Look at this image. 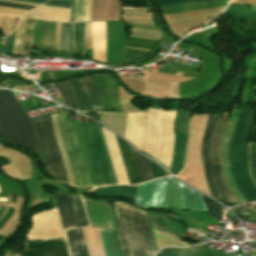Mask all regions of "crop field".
Masks as SVG:
<instances>
[{"label":"crop field","mask_w":256,"mask_h":256,"mask_svg":"<svg viewBox=\"0 0 256 256\" xmlns=\"http://www.w3.org/2000/svg\"><path fill=\"white\" fill-rule=\"evenodd\" d=\"M115 211L124 256H153L156 249L146 211L122 202L115 203Z\"/></svg>","instance_id":"obj_1"},{"label":"crop field","mask_w":256,"mask_h":256,"mask_svg":"<svg viewBox=\"0 0 256 256\" xmlns=\"http://www.w3.org/2000/svg\"><path fill=\"white\" fill-rule=\"evenodd\" d=\"M256 117V110L244 106L229 147L231 175L247 202L256 200V185L248 171L247 140Z\"/></svg>","instance_id":"obj_2"},{"label":"crop field","mask_w":256,"mask_h":256,"mask_svg":"<svg viewBox=\"0 0 256 256\" xmlns=\"http://www.w3.org/2000/svg\"><path fill=\"white\" fill-rule=\"evenodd\" d=\"M0 139L23 146L42 157L28 116L7 90H0Z\"/></svg>","instance_id":"obj_3"},{"label":"crop field","mask_w":256,"mask_h":256,"mask_svg":"<svg viewBox=\"0 0 256 256\" xmlns=\"http://www.w3.org/2000/svg\"><path fill=\"white\" fill-rule=\"evenodd\" d=\"M32 120L44 157V170L51 176L68 182L50 115Z\"/></svg>","instance_id":"obj_4"},{"label":"crop field","mask_w":256,"mask_h":256,"mask_svg":"<svg viewBox=\"0 0 256 256\" xmlns=\"http://www.w3.org/2000/svg\"><path fill=\"white\" fill-rule=\"evenodd\" d=\"M98 129H99V126H98ZM98 129H97L96 123H94L93 121H90L89 126H82L84 139H85L88 153L90 156V160H91V164H92L95 178L97 181V185L99 186V185L114 184L115 179L113 182L114 176L112 178V175H113V173L111 175L112 169L110 171L111 166L109 168V165H110V163L108 165L109 159L107 162L108 156L106 158V155H107V153L105 155L106 149L104 146V149H105V152H104V149H103L104 143L102 145L103 139L100 133V136L102 139V142H101V139L99 136L100 129H99V132H98Z\"/></svg>","instance_id":"obj_5"},{"label":"crop field","mask_w":256,"mask_h":256,"mask_svg":"<svg viewBox=\"0 0 256 256\" xmlns=\"http://www.w3.org/2000/svg\"><path fill=\"white\" fill-rule=\"evenodd\" d=\"M68 154L78 186L90 185L89 176L74 131L75 121H67L66 114L59 115Z\"/></svg>","instance_id":"obj_6"},{"label":"crop field","mask_w":256,"mask_h":256,"mask_svg":"<svg viewBox=\"0 0 256 256\" xmlns=\"http://www.w3.org/2000/svg\"><path fill=\"white\" fill-rule=\"evenodd\" d=\"M231 100L227 103V107H228L229 103L231 102ZM226 110H227V108H226ZM226 110L223 112V114L216 126V129L213 133L210 155H211V162H212V167H213V170L215 173L216 182L221 191L224 201L237 202L236 199L231 194L230 190L228 189V187L223 179L221 165H220V161H219V145H220V141H221V137H222L224 128L227 124V118L229 116V113L226 114Z\"/></svg>","instance_id":"obj_7"},{"label":"crop field","mask_w":256,"mask_h":256,"mask_svg":"<svg viewBox=\"0 0 256 256\" xmlns=\"http://www.w3.org/2000/svg\"><path fill=\"white\" fill-rule=\"evenodd\" d=\"M151 207L183 209L181 183L172 177L160 179Z\"/></svg>","instance_id":"obj_8"},{"label":"crop field","mask_w":256,"mask_h":256,"mask_svg":"<svg viewBox=\"0 0 256 256\" xmlns=\"http://www.w3.org/2000/svg\"><path fill=\"white\" fill-rule=\"evenodd\" d=\"M69 81L79 108H92L98 111L103 110L91 76L71 79Z\"/></svg>","instance_id":"obj_9"},{"label":"crop field","mask_w":256,"mask_h":256,"mask_svg":"<svg viewBox=\"0 0 256 256\" xmlns=\"http://www.w3.org/2000/svg\"><path fill=\"white\" fill-rule=\"evenodd\" d=\"M17 256H69L65 238L24 244Z\"/></svg>","instance_id":"obj_10"},{"label":"crop field","mask_w":256,"mask_h":256,"mask_svg":"<svg viewBox=\"0 0 256 256\" xmlns=\"http://www.w3.org/2000/svg\"><path fill=\"white\" fill-rule=\"evenodd\" d=\"M219 117H220V114H209L206 130H205V134L202 142V147H201V156L204 163L205 174H206L210 192L213 196L221 200V197L219 195V192L216 188V185L212 177V169L210 165L209 152H208L210 138L212 136V133L215 129V126L217 124Z\"/></svg>","instance_id":"obj_11"},{"label":"crop field","mask_w":256,"mask_h":256,"mask_svg":"<svg viewBox=\"0 0 256 256\" xmlns=\"http://www.w3.org/2000/svg\"><path fill=\"white\" fill-rule=\"evenodd\" d=\"M24 17L69 22L70 9L41 5L27 12Z\"/></svg>","instance_id":"obj_12"},{"label":"crop field","mask_w":256,"mask_h":256,"mask_svg":"<svg viewBox=\"0 0 256 256\" xmlns=\"http://www.w3.org/2000/svg\"><path fill=\"white\" fill-rule=\"evenodd\" d=\"M116 140L119 146V150L122 156V160L125 166L129 183L130 184L140 183L141 181L139 178V174L135 165V161H134L130 146L117 136H116Z\"/></svg>","instance_id":"obj_13"},{"label":"crop field","mask_w":256,"mask_h":256,"mask_svg":"<svg viewBox=\"0 0 256 256\" xmlns=\"http://www.w3.org/2000/svg\"><path fill=\"white\" fill-rule=\"evenodd\" d=\"M53 192H54L55 200H56V203H57V206L59 209L63 228L66 229V228H71V227L77 226L75 217H74V213H73V209H72V205L70 202V197L67 195H64L60 192H59V194H57V192L54 190H53Z\"/></svg>","instance_id":"obj_14"},{"label":"crop field","mask_w":256,"mask_h":256,"mask_svg":"<svg viewBox=\"0 0 256 256\" xmlns=\"http://www.w3.org/2000/svg\"><path fill=\"white\" fill-rule=\"evenodd\" d=\"M159 180V179H158ZM158 180L139 184L137 188L135 205L138 207L149 209L155 194Z\"/></svg>","instance_id":"obj_15"},{"label":"crop field","mask_w":256,"mask_h":256,"mask_svg":"<svg viewBox=\"0 0 256 256\" xmlns=\"http://www.w3.org/2000/svg\"><path fill=\"white\" fill-rule=\"evenodd\" d=\"M186 139L187 133H176L173 160L170 169V172L174 175H176L183 166Z\"/></svg>","instance_id":"obj_16"},{"label":"crop field","mask_w":256,"mask_h":256,"mask_svg":"<svg viewBox=\"0 0 256 256\" xmlns=\"http://www.w3.org/2000/svg\"><path fill=\"white\" fill-rule=\"evenodd\" d=\"M66 232L73 252V256H88L82 229H73Z\"/></svg>","instance_id":"obj_17"},{"label":"crop field","mask_w":256,"mask_h":256,"mask_svg":"<svg viewBox=\"0 0 256 256\" xmlns=\"http://www.w3.org/2000/svg\"><path fill=\"white\" fill-rule=\"evenodd\" d=\"M182 198L185 209L194 211H207L199 193L182 185Z\"/></svg>","instance_id":"obj_18"},{"label":"crop field","mask_w":256,"mask_h":256,"mask_svg":"<svg viewBox=\"0 0 256 256\" xmlns=\"http://www.w3.org/2000/svg\"><path fill=\"white\" fill-rule=\"evenodd\" d=\"M137 186L131 187H102L94 190L97 196H116L134 200Z\"/></svg>","instance_id":"obj_19"},{"label":"crop field","mask_w":256,"mask_h":256,"mask_svg":"<svg viewBox=\"0 0 256 256\" xmlns=\"http://www.w3.org/2000/svg\"><path fill=\"white\" fill-rule=\"evenodd\" d=\"M51 117H52V121L54 123L56 137H57L58 144H59V147H60V151H61V154H62V157H63V161H64L65 168H66V171H67L69 182H70V184H72L74 186H77L76 182H75L73 172H72V168H71V165H70V162H69V159H68V155H67V152H66V149H65V146H64V142H63V139H62V136H61V132H60V129H59L58 117L57 116H51Z\"/></svg>","instance_id":"obj_20"},{"label":"crop field","mask_w":256,"mask_h":256,"mask_svg":"<svg viewBox=\"0 0 256 256\" xmlns=\"http://www.w3.org/2000/svg\"><path fill=\"white\" fill-rule=\"evenodd\" d=\"M100 229L106 256H121L118 251L114 232L107 229Z\"/></svg>","instance_id":"obj_21"},{"label":"crop field","mask_w":256,"mask_h":256,"mask_svg":"<svg viewBox=\"0 0 256 256\" xmlns=\"http://www.w3.org/2000/svg\"><path fill=\"white\" fill-rule=\"evenodd\" d=\"M132 151H133V155H134V158H135V161L137 164V168H138V171L140 174L141 181L143 182L145 180L153 178L154 176H153V172L151 169L149 159L138 154L133 149H132Z\"/></svg>","instance_id":"obj_22"},{"label":"crop field","mask_w":256,"mask_h":256,"mask_svg":"<svg viewBox=\"0 0 256 256\" xmlns=\"http://www.w3.org/2000/svg\"><path fill=\"white\" fill-rule=\"evenodd\" d=\"M56 23L43 21L42 46L55 48Z\"/></svg>","instance_id":"obj_23"},{"label":"crop field","mask_w":256,"mask_h":256,"mask_svg":"<svg viewBox=\"0 0 256 256\" xmlns=\"http://www.w3.org/2000/svg\"><path fill=\"white\" fill-rule=\"evenodd\" d=\"M25 26H26V19L21 18L20 22L16 28L13 53L21 54V52H22L24 38H25Z\"/></svg>","instance_id":"obj_24"},{"label":"crop field","mask_w":256,"mask_h":256,"mask_svg":"<svg viewBox=\"0 0 256 256\" xmlns=\"http://www.w3.org/2000/svg\"><path fill=\"white\" fill-rule=\"evenodd\" d=\"M71 197H72V202H73V205H74L78 225L79 226L88 225L86 215H85V211H84V207H83V204H82V201H81L80 197H78V196H76L72 193H71Z\"/></svg>","instance_id":"obj_25"},{"label":"crop field","mask_w":256,"mask_h":256,"mask_svg":"<svg viewBox=\"0 0 256 256\" xmlns=\"http://www.w3.org/2000/svg\"><path fill=\"white\" fill-rule=\"evenodd\" d=\"M57 88L62 92L66 104L71 106V107H77L73 92L71 90L70 84L68 81L65 82H58L55 83ZM78 108V107H77Z\"/></svg>","instance_id":"obj_26"},{"label":"crop field","mask_w":256,"mask_h":256,"mask_svg":"<svg viewBox=\"0 0 256 256\" xmlns=\"http://www.w3.org/2000/svg\"><path fill=\"white\" fill-rule=\"evenodd\" d=\"M85 23L75 24V41L76 45L82 44V57L84 56L86 45H85Z\"/></svg>","instance_id":"obj_27"},{"label":"crop field","mask_w":256,"mask_h":256,"mask_svg":"<svg viewBox=\"0 0 256 256\" xmlns=\"http://www.w3.org/2000/svg\"><path fill=\"white\" fill-rule=\"evenodd\" d=\"M33 21L27 19V26H26V38H25V45L22 54L30 55L31 46H32V28H33Z\"/></svg>","instance_id":"obj_28"},{"label":"crop field","mask_w":256,"mask_h":256,"mask_svg":"<svg viewBox=\"0 0 256 256\" xmlns=\"http://www.w3.org/2000/svg\"><path fill=\"white\" fill-rule=\"evenodd\" d=\"M13 18L14 16L0 14V28L3 31V35H7L11 32Z\"/></svg>","instance_id":"obj_29"},{"label":"crop field","mask_w":256,"mask_h":256,"mask_svg":"<svg viewBox=\"0 0 256 256\" xmlns=\"http://www.w3.org/2000/svg\"><path fill=\"white\" fill-rule=\"evenodd\" d=\"M202 245L203 244L193 246V247H190L186 250L176 252V253H166V254H160V255H156V256H195L198 253V251H199V249L201 248Z\"/></svg>","instance_id":"obj_30"},{"label":"crop field","mask_w":256,"mask_h":256,"mask_svg":"<svg viewBox=\"0 0 256 256\" xmlns=\"http://www.w3.org/2000/svg\"><path fill=\"white\" fill-rule=\"evenodd\" d=\"M68 27L69 24L62 23L61 30V51L65 53H70L69 43H68Z\"/></svg>","instance_id":"obj_31"},{"label":"crop field","mask_w":256,"mask_h":256,"mask_svg":"<svg viewBox=\"0 0 256 256\" xmlns=\"http://www.w3.org/2000/svg\"><path fill=\"white\" fill-rule=\"evenodd\" d=\"M86 0H78L75 22L85 21Z\"/></svg>","instance_id":"obj_32"},{"label":"crop field","mask_w":256,"mask_h":256,"mask_svg":"<svg viewBox=\"0 0 256 256\" xmlns=\"http://www.w3.org/2000/svg\"><path fill=\"white\" fill-rule=\"evenodd\" d=\"M202 199H203V201H204V203H205V205H206V207L208 209L209 215L213 216V212H212L210 203H211V205L213 207V210L215 212V215H216L217 214V210H216V206H215L214 201L211 200V199H208V198H206L204 196H202ZM216 205H217V209H218V218H222L221 207L217 203H216Z\"/></svg>","instance_id":"obj_33"},{"label":"crop field","mask_w":256,"mask_h":256,"mask_svg":"<svg viewBox=\"0 0 256 256\" xmlns=\"http://www.w3.org/2000/svg\"><path fill=\"white\" fill-rule=\"evenodd\" d=\"M148 214H149L150 221H151L152 225L159 227V228L166 229L164 216L150 214V213H148Z\"/></svg>","instance_id":"obj_34"},{"label":"crop field","mask_w":256,"mask_h":256,"mask_svg":"<svg viewBox=\"0 0 256 256\" xmlns=\"http://www.w3.org/2000/svg\"><path fill=\"white\" fill-rule=\"evenodd\" d=\"M0 6L19 8V9H26V10H30V9L34 8V6H28V5L16 4V3H10V2H4V1H0Z\"/></svg>","instance_id":"obj_35"},{"label":"crop field","mask_w":256,"mask_h":256,"mask_svg":"<svg viewBox=\"0 0 256 256\" xmlns=\"http://www.w3.org/2000/svg\"><path fill=\"white\" fill-rule=\"evenodd\" d=\"M25 12H27V11L26 10L0 7V13H8V14H15V15L22 16Z\"/></svg>","instance_id":"obj_36"},{"label":"crop field","mask_w":256,"mask_h":256,"mask_svg":"<svg viewBox=\"0 0 256 256\" xmlns=\"http://www.w3.org/2000/svg\"><path fill=\"white\" fill-rule=\"evenodd\" d=\"M156 233L159 234V235H162V236L166 237L167 239H169V240H170L171 242H173L174 244H186V243L181 242V241L178 240L176 237L170 235V234L167 233V232L160 231V230H157V229H156Z\"/></svg>","instance_id":"obj_37"},{"label":"crop field","mask_w":256,"mask_h":256,"mask_svg":"<svg viewBox=\"0 0 256 256\" xmlns=\"http://www.w3.org/2000/svg\"><path fill=\"white\" fill-rule=\"evenodd\" d=\"M69 42H70L71 53H75V47H74V24H70V27H69Z\"/></svg>","instance_id":"obj_38"},{"label":"crop field","mask_w":256,"mask_h":256,"mask_svg":"<svg viewBox=\"0 0 256 256\" xmlns=\"http://www.w3.org/2000/svg\"><path fill=\"white\" fill-rule=\"evenodd\" d=\"M252 174L256 180V149H251Z\"/></svg>","instance_id":"obj_39"},{"label":"crop field","mask_w":256,"mask_h":256,"mask_svg":"<svg viewBox=\"0 0 256 256\" xmlns=\"http://www.w3.org/2000/svg\"><path fill=\"white\" fill-rule=\"evenodd\" d=\"M90 27H91V23H86V45L87 48H92V44H91V36H90Z\"/></svg>","instance_id":"obj_40"},{"label":"crop field","mask_w":256,"mask_h":256,"mask_svg":"<svg viewBox=\"0 0 256 256\" xmlns=\"http://www.w3.org/2000/svg\"><path fill=\"white\" fill-rule=\"evenodd\" d=\"M58 1H64V2L72 3L70 22H74V18H75V8H76V0H58Z\"/></svg>","instance_id":"obj_41"},{"label":"crop field","mask_w":256,"mask_h":256,"mask_svg":"<svg viewBox=\"0 0 256 256\" xmlns=\"http://www.w3.org/2000/svg\"><path fill=\"white\" fill-rule=\"evenodd\" d=\"M60 30H61V23H57L56 27V50L60 51Z\"/></svg>","instance_id":"obj_42"},{"label":"crop field","mask_w":256,"mask_h":256,"mask_svg":"<svg viewBox=\"0 0 256 256\" xmlns=\"http://www.w3.org/2000/svg\"><path fill=\"white\" fill-rule=\"evenodd\" d=\"M189 1H197V0H160V4L165 5V4H173V3H181V2H189Z\"/></svg>","instance_id":"obj_43"},{"label":"crop field","mask_w":256,"mask_h":256,"mask_svg":"<svg viewBox=\"0 0 256 256\" xmlns=\"http://www.w3.org/2000/svg\"><path fill=\"white\" fill-rule=\"evenodd\" d=\"M151 165H152V168H153V172H154V176H155V177H157V176H162V175H163L161 168H160L157 164H155V163H153V162L151 161Z\"/></svg>","instance_id":"obj_44"},{"label":"crop field","mask_w":256,"mask_h":256,"mask_svg":"<svg viewBox=\"0 0 256 256\" xmlns=\"http://www.w3.org/2000/svg\"><path fill=\"white\" fill-rule=\"evenodd\" d=\"M90 13H91V0H88L87 9H86V21H90Z\"/></svg>","instance_id":"obj_45"},{"label":"crop field","mask_w":256,"mask_h":256,"mask_svg":"<svg viewBox=\"0 0 256 256\" xmlns=\"http://www.w3.org/2000/svg\"><path fill=\"white\" fill-rule=\"evenodd\" d=\"M148 109H153V108H148ZM159 110H164V109H159ZM165 111H170V110H165ZM177 114V113H176ZM176 118V117H175ZM144 153H146L144 151ZM148 156H150L151 158H153L155 161L159 162L161 165H163L160 161H158L156 158H154L153 156L149 155L148 153H146ZM166 169L169 170V168H167L165 165H163Z\"/></svg>","instance_id":"obj_46"},{"label":"crop field","mask_w":256,"mask_h":256,"mask_svg":"<svg viewBox=\"0 0 256 256\" xmlns=\"http://www.w3.org/2000/svg\"><path fill=\"white\" fill-rule=\"evenodd\" d=\"M46 5H52V6H59V7H67L70 8L71 6H66V5H57V4H50V3H45Z\"/></svg>","instance_id":"obj_47"},{"label":"crop field","mask_w":256,"mask_h":256,"mask_svg":"<svg viewBox=\"0 0 256 256\" xmlns=\"http://www.w3.org/2000/svg\"><path fill=\"white\" fill-rule=\"evenodd\" d=\"M17 1H24V2L43 4V2H37V1H31V0H17Z\"/></svg>","instance_id":"obj_48"},{"label":"crop field","mask_w":256,"mask_h":256,"mask_svg":"<svg viewBox=\"0 0 256 256\" xmlns=\"http://www.w3.org/2000/svg\"><path fill=\"white\" fill-rule=\"evenodd\" d=\"M48 2H51V3H59V4H67V5H71V4H69V3H63V2L52 1V0H49Z\"/></svg>","instance_id":"obj_49"},{"label":"crop field","mask_w":256,"mask_h":256,"mask_svg":"<svg viewBox=\"0 0 256 256\" xmlns=\"http://www.w3.org/2000/svg\"><path fill=\"white\" fill-rule=\"evenodd\" d=\"M89 195H92V192L89 193V194H87V197L94 198V197H91V196H89ZM95 199H97V198H95ZM101 200H105V199H101ZM107 201H117V200H107Z\"/></svg>","instance_id":"obj_50"},{"label":"crop field","mask_w":256,"mask_h":256,"mask_svg":"<svg viewBox=\"0 0 256 256\" xmlns=\"http://www.w3.org/2000/svg\"><path fill=\"white\" fill-rule=\"evenodd\" d=\"M5 1H10V0H5ZM12 2H16V1H12ZM18 3H23V2H18ZM23 4H29V5L38 6L37 4H30V3H23Z\"/></svg>","instance_id":"obj_51"},{"label":"crop field","mask_w":256,"mask_h":256,"mask_svg":"<svg viewBox=\"0 0 256 256\" xmlns=\"http://www.w3.org/2000/svg\"><path fill=\"white\" fill-rule=\"evenodd\" d=\"M38 1H43V2H46L47 0H38Z\"/></svg>","instance_id":"obj_52"},{"label":"crop field","mask_w":256,"mask_h":256,"mask_svg":"<svg viewBox=\"0 0 256 256\" xmlns=\"http://www.w3.org/2000/svg\"><path fill=\"white\" fill-rule=\"evenodd\" d=\"M254 207H255V209H256V205H255Z\"/></svg>","instance_id":"obj_53"}]
</instances>
